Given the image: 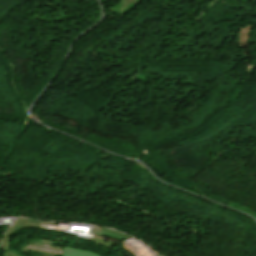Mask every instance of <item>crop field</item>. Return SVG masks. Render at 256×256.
Returning a JSON list of instances; mask_svg holds the SVG:
<instances>
[{
    "mask_svg": "<svg viewBox=\"0 0 256 256\" xmlns=\"http://www.w3.org/2000/svg\"><path fill=\"white\" fill-rule=\"evenodd\" d=\"M64 256H98L96 254L64 247Z\"/></svg>",
    "mask_w": 256,
    "mask_h": 256,
    "instance_id": "8a807250",
    "label": "crop field"
},
{
    "mask_svg": "<svg viewBox=\"0 0 256 256\" xmlns=\"http://www.w3.org/2000/svg\"><path fill=\"white\" fill-rule=\"evenodd\" d=\"M4 252H6V253H4ZM2 255H3V256H16V255L13 254L10 250L3 251V252H2Z\"/></svg>",
    "mask_w": 256,
    "mask_h": 256,
    "instance_id": "ac0d7876",
    "label": "crop field"
}]
</instances>
